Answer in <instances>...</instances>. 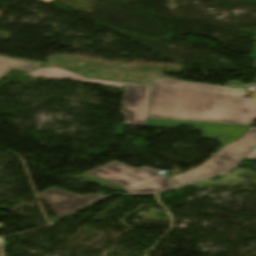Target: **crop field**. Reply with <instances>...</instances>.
Returning a JSON list of instances; mask_svg holds the SVG:
<instances>
[{
  "label": "crop field",
  "mask_w": 256,
  "mask_h": 256,
  "mask_svg": "<svg viewBox=\"0 0 256 256\" xmlns=\"http://www.w3.org/2000/svg\"><path fill=\"white\" fill-rule=\"evenodd\" d=\"M148 117L245 124L256 120V92L158 80Z\"/></svg>",
  "instance_id": "obj_1"
},
{
  "label": "crop field",
  "mask_w": 256,
  "mask_h": 256,
  "mask_svg": "<svg viewBox=\"0 0 256 256\" xmlns=\"http://www.w3.org/2000/svg\"><path fill=\"white\" fill-rule=\"evenodd\" d=\"M158 172L149 167L135 169L112 161L88 174L119 184L130 194H149L173 188L168 180L157 174Z\"/></svg>",
  "instance_id": "obj_2"
},
{
  "label": "crop field",
  "mask_w": 256,
  "mask_h": 256,
  "mask_svg": "<svg viewBox=\"0 0 256 256\" xmlns=\"http://www.w3.org/2000/svg\"><path fill=\"white\" fill-rule=\"evenodd\" d=\"M256 145V128L250 127L243 136L218 150L200 166L170 178L176 186L224 172L236 165Z\"/></svg>",
  "instance_id": "obj_3"
},
{
  "label": "crop field",
  "mask_w": 256,
  "mask_h": 256,
  "mask_svg": "<svg viewBox=\"0 0 256 256\" xmlns=\"http://www.w3.org/2000/svg\"><path fill=\"white\" fill-rule=\"evenodd\" d=\"M152 86L126 84L121 114L126 124L145 126Z\"/></svg>",
  "instance_id": "obj_4"
},
{
  "label": "crop field",
  "mask_w": 256,
  "mask_h": 256,
  "mask_svg": "<svg viewBox=\"0 0 256 256\" xmlns=\"http://www.w3.org/2000/svg\"><path fill=\"white\" fill-rule=\"evenodd\" d=\"M180 125L194 126L195 130H202L204 132L203 137L218 140L223 146L240 138L242 134L249 128L244 126H231V125L153 120V119H147L146 126H159V127L173 128ZM198 126L203 128L200 129L198 128Z\"/></svg>",
  "instance_id": "obj_5"
},
{
  "label": "crop field",
  "mask_w": 256,
  "mask_h": 256,
  "mask_svg": "<svg viewBox=\"0 0 256 256\" xmlns=\"http://www.w3.org/2000/svg\"><path fill=\"white\" fill-rule=\"evenodd\" d=\"M38 196L48 204L58 217L102 197L100 194L79 196L56 188H52Z\"/></svg>",
  "instance_id": "obj_6"
},
{
  "label": "crop field",
  "mask_w": 256,
  "mask_h": 256,
  "mask_svg": "<svg viewBox=\"0 0 256 256\" xmlns=\"http://www.w3.org/2000/svg\"><path fill=\"white\" fill-rule=\"evenodd\" d=\"M26 76H35V77L50 78V79L71 78V79H73L75 81H79V82L112 85V86H119V87H122V85H123V84H119V83L87 80L85 78H82L80 76H77L75 74H72V73L66 72L64 70L57 69V68L36 69V70L26 74Z\"/></svg>",
  "instance_id": "obj_7"
},
{
  "label": "crop field",
  "mask_w": 256,
  "mask_h": 256,
  "mask_svg": "<svg viewBox=\"0 0 256 256\" xmlns=\"http://www.w3.org/2000/svg\"><path fill=\"white\" fill-rule=\"evenodd\" d=\"M41 64L0 57V78L11 69L29 72Z\"/></svg>",
  "instance_id": "obj_8"
},
{
  "label": "crop field",
  "mask_w": 256,
  "mask_h": 256,
  "mask_svg": "<svg viewBox=\"0 0 256 256\" xmlns=\"http://www.w3.org/2000/svg\"><path fill=\"white\" fill-rule=\"evenodd\" d=\"M251 57L255 59L254 65H253V68H252V69H256V43H255V45H254V48H253Z\"/></svg>",
  "instance_id": "obj_9"
},
{
  "label": "crop field",
  "mask_w": 256,
  "mask_h": 256,
  "mask_svg": "<svg viewBox=\"0 0 256 256\" xmlns=\"http://www.w3.org/2000/svg\"><path fill=\"white\" fill-rule=\"evenodd\" d=\"M246 159L256 160V150L253 153H251Z\"/></svg>",
  "instance_id": "obj_10"
},
{
  "label": "crop field",
  "mask_w": 256,
  "mask_h": 256,
  "mask_svg": "<svg viewBox=\"0 0 256 256\" xmlns=\"http://www.w3.org/2000/svg\"><path fill=\"white\" fill-rule=\"evenodd\" d=\"M39 1L50 3V2L55 1V0H39Z\"/></svg>",
  "instance_id": "obj_11"
},
{
  "label": "crop field",
  "mask_w": 256,
  "mask_h": 256,
  "mask_svg": "<svg viewBox=\"0 0 256 256\" xmlns=\"http://www.w3.org/2000/svg\"><path fill=\"white\" fill-rule=\"evenodd\" d=\"M0 256H2V254H1V249H0Z\"/></svg>",
  "instance_id": "obj_12"
}]
</instances>
